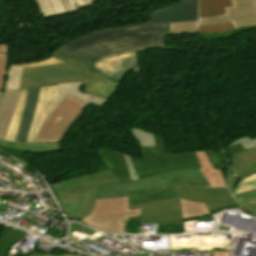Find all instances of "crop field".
Here are the masks:
<instances>
[{
    "label": "crop field",
    "instance_id": "19",
    "mask_svg": "<svg viewBox=\"0 0 256 256\" xmlns=\"http://www.w3.org/2000/svg\"><path fill=\"white\" fill-rule=\"evenodd\" d=\"M167 194V195H165ZM130 205L179 197V187L130 193Z\"/></svg>",
    "mask_w": 256,
    "mask_h": 256
},
{
    "label": "crop field",
    "instance_id": "18",
    "mask_svg": "<svg viewBox=\"0 0 256 256\" xmlns=\"http://www.w3.org/2000/svg\"><path fill=\"white\" fill-rule=\"evenodd\" d=\"M22 90H5L0 101V139L3 140Z\"/></svg>",
    "mask_w": 256,
    "mask_h": 256
},
{
    "label": "crop field",
    "instance_id": "17",
    "mask_svg": "<svg viewBox=\"0 0 256 256\" xmlns=\"http://www.w3.org/2000/svg\"><path fill=\"white\" fill-rule=\"evenodd\" d=\"M83 83L84 82L59 85L58 86V101L55 102L53 107L50 109V111L48 112L45 120L49 117V115L55 110V108L64 100V98L68 94H70V95L80 99L87 106H89L90 104H94V105H97V106H100V107H104L105 104L108 101L81 93L82 87H83ZM45 120H44V122H45ZM44 122H43V124H44ZM43 124H42V126H43ZM42 126H41V128H42ZM36 139H37V137H36ZM36 139H35V141H36Z\"/></svg>",
    "mask_w": 256,
    "mask_h": 256
},
{
    "label": "crop field",
    "instance_id": "21",
    "mask_svg": "<svg viewBox=\"0 0 256 256\" xmlns=\"http://www.w3.org/2000/svg\"><path fill=\"white\" fill-rule=\"evenodd\" d=\"M0 147L18 151L52 152L59 151L60 143H19L0 141Z\"/></svg>",
    "mask_w": 256,
    "mask_h": 256
},
{
    "label": "crop field",
    "instance_id": "23",
    "mask_svg": "<svg viewBox=\"0 0 256 256\" xmlns=\"http://www.w3.org/2000/svg\"><path fill=\"white\" fill-rule=\"evenodd\" d=\"M229 6L231 0H200V17L222 14Z\"/></svg>",
    "mask_w": 256,
    "mask_h": 256
},
{
    "label": "crop field",
    "instance_id": "25",
    "mask_svg": "<svg viewBox=\"0 0 256 256\" xmlns=\"http://www.w3.org/2000/svg\"><path fill=\"white\" fill-rule=\"evenodd\" d=\"M233 197L243 209L256 214V189L233 195Z\"/></svg>",
    "mask_w": 256,
    "mask_h": 256
},
{
    "label": "crop field",
    "instance_id": "16",
    "mask_svg": "<svg viewBox=\"0 0 256 256\" xmlns=\"http://www.w3.org/2000/svg\"><path fill=\"white\" fill-rule=\"evenodd\" d=\"M39 90L40 88L30 89L26 92L23 112L15 141H27L29 130L37 107Z\"/></svg>",
    "mask_w": 256,
    "mask_h": 256
},
{
    "label": "crop field",
    "instance_id": "11",
    "mask_svg": "<svg viewBox=\"0 0 256 256\" xmlns=\"http://www.w3.org/2000/svg\"><path fill=\"white\" fill-rule=\"evenodd\" d=\"M52 58L68 62L88 72L82 91L83 93L110 100L113 93L120 85V83L111 81L94 72L88 65L73 57L54 52Z\"/></svg>",
    "mask_w": 256,
    "mask_h": 256
},
{
    "label": "crop field",
    "instance_id": "10",
    "mask_svg": "<svg viewBox=\"0 0 256 256\" xmlns=\"http://www.w3.org/2000/svg\"><path fill=\"white\" fill-rule=\"evenodd\" d=\"M150 49H163V47ZM147 50L113 55L97 60L89 64V66L98 73L122 83L131 69H135V72H141L138 52H146Z\"/></svg>",
    "mask_w": 256,
    "mask_h": 256
},
{
    "label": "crop field",
    "instance_id": "36",
    "mask_svg": "<svg viewBox=\"0 0 256 256\" xmlns=\"http://www.w3.org/2000/svg\"><path fill=\"white\" fill-rule=\"evenodd\" d=\"M181 208L187 207H206L204 203H196L188 200L180 199Z\"/></svg>",
    "mask_w": 256,
    "mask_h": 256
},
{
    "label": "crop field",
    "instance_id": "31",
    "mask_svg": "<svg viewBox=\"0 0 256 256\" xmlns=\"http://www.w3.org/2000/svg\"><path fill=\"white\" fill-rule=\"evenodd\" d=\"M254 188H256V174H254L248 178L240 180L236 186V190H235L234 194L240 193L243 191H247V190H251Z\"/></svg>",
    "mask_w": 256,
    "mask_h": 256
},
{
    "label": "crop field",
    "instance_id": "24",
    "mask_svg": "<svg viewBox=\"0 0 256 256\" xmlns=\"http://www.w3.org/2000/svg\"><path fill=\"white\" fill-rule=\"evenodd\" d=\"M25 232L9 227L0 237V256H5L11 244L17 239L23 237ZM63 256H80V255H63Z\"/></svg>",
    "mask_w": 256,
    "mask_h": 256
},
{
    "label": "crop field",
    "instance_id": "15",
    "mask_svg": "<svg viewBox=\"0 0 256 256\" xmlns=\"http://www.w3.org/2000/svg\"><path fill=\"white\" fill-rule=\"evenodd\" d=\"M55 101H57V86L42 87L40 90L37 111L27 142L34 141L42 121Z\"/></svg>",
    "mask_w": 256,
    "mask_h": 256
},
{
    "label": "crop field",
    "instance_id": "20",
    "mask_svg": "<svg viewBox=\"0 0 256 256\" xmlns=\"http://www.w3.org/2000/svg\"><path fill=\"white\" fill-rule=\"evenodd\" d=\"M102 160L108 166V168L114 173V175L119 179L120 182L128 181L129 178L124 169L122 161L119 157L118 152L111 150L101 149L97 151Z\"/></svg>",
    "mask_w": 256,
    "mask_h": 256
},
{
    "label": "crop field",
    "instance_id": "3",
    "mask_svg": "<svg viewBox=\"0 0 256 256\" xmlns=\"http://www.w3.org/2000/svg\"><path fill=\"white\" fill-rule=\"evenodd\" d=\"M110 170L53 184L68 216L82 220L91 212L97 196V186L117 182Z\"/></svg>",
    "mask_w": 256,
    "mask_h": 256
},
{
    "label": "crop field",
    "instance_id": "37",
    "mask_svg": "<svg viewBox=\"0 0 256 256\" xmlns=\"http://www.w3.org/2000/svg\"><path fill=\"white\" fill-rule=\"evenodd\" d=\"M9 53V45H0V53Z\"/></svg>",
    "mask_w": 256,
    "mask_h": 256
},
{
    "label": "crop field",
    "instance_id": "12",
    "mask_svg": "<svg viewBox=\"0 0 256 256\" xmlns=\"http://www.w3.org/2000/svg\"><path fill=\"white\" fill-rule=\"evenodd\" d=\"M152 24L198 20V0H179L150 13Z\"/></svg>",
    "mask_w": 256,
    "mask_h": 256
},
{
    "label": "crop field",
    "instance_id": "2",
    "mask_svg": "<svg viewBox=\"0 0 256 256\" xmlns=\"http://www.w3.org/2000/svg\"><path fill=\"white\" fill-rule=\"evenodd\" d=\"M180 198L205 202L209 211L235 205L227 188L180 187ZM141 208L143 222L182 220L179 198L130 206Z\"/></svg>",
    "mask_w": 256,
    "mask_h": 256
},
{
    "label": "crop field",
    "instance_id": "32",
    "mask_svg": "<svg viewBox=\"0 0 256 256\" xmlns=\"http://www.w3.org/2000/svg\"><path fill=\"white\" fill-rule=\"evenodd\" d=\"M9 54H0V94L6 81ZM4 89V88H3Z\"/></svg>",
    "mask_w": 256,
    "mask_h": 256
},
{
    "label": "crop field",
    "instance_id": "8",
    "mask_svg": "<svg viewBox=\"0 0 256 256\" xmlns=\"http://www.w3.org/2000/svg\"><path fill=\"white\" fill-rule=\"evenodd\" d=\"M143 157L144 160L130 157L135 171L140 178L187 168H201L194 151L180 154Z\"/></svg>",
    "mask_w": 256,
    "mask_h": 256
},
{
    "label": "crop field",
    "instance_id": "22",
    "mask_svg": "<svg viewBox=\"0 0 256 256\" xmlns=\"http://www.w3.org/2000/svg\"><path fill=\"white\" fill-rule=\"evenodd\" d=\"M195 153L202 167L201 172L206 177L211 187H225L224 178L220 170L213 169L211 162L208 160L203 151Z\"/></svg>",
    "mask_w": 256,
    "mask_h": 256
},
{
    "label": "crop field",
    "instance_id": "29",
    "mask_svg": "<svg viewBox=\"0 0 256 256\" xmlns=\"http://www.w3.org/2000/svg\"><path fill=\"white\" fill-rule=\"evenodd\" d=\"M131 131L141 145H155L152 133L144 132L136 128L131 129Z\"/></svg>",
    "mask_w": 256,
    "mask_h": 256
},
{
    "label": "crop field",
    "instance_id": "14",
    "mask_svg": "<svg viewBox=\"0 0 256 256\" xmlns=\"http://www.w3.org/2000/svg\"><path fill=\"white\" fill-rule=\"evenodd\" d=\"M44 19L83 10L97 0H35Z\"/></svg>",
    "mask_w": 256,
    "mask_h": 256
},
{
    "label": "crop field",
    "instance_id": "4",
    "mask_svg": "<svg viewBox=\"0 0 256 256\" xmlns=\"http://www.w3.org/2000/svg\"><path fill=\"white\" fill-rule=\"evenodd\" d=\"M87 72L68 63L33 68H11L6 88L29 89L84 81Z\"/></svg>",
    "mask_w": 256,
    "mask_h": 256
},
{
    "label": "crop field",
    "instance_id": "30",
    "mask_svg": "<svg viewBox=\"0 0 256 256\" xmlns=\"http://www.w3.org/2000/svg\"><path fill=\"white\" fill-rule=\"evenodd\" d=\"M183 220L211 215L207 208H187L182 210Z\"/></svg>",
    "mask_w": 256,
    "mask_h": 256
},
{
    "label": "crop field",
    "instance_id": "35",
    "mask_svg": "<svg viewBox=\"0 0 256 256\" xmlns=\"http://www.w3.org/2000/svg\"><path fill=\"white\" fill-rule=\"evenodd\" d=\"M154 137H155V142H156L157 153L158 154H166V148L163 144L162 137L155 135V134H154Z\"/></svg>",
    "mask_w": 256,
    "mask_h": 256
},
{
    "label": "crop field",
    "instance_id": "38",
    "mask_svg": "<svg viewBox=\"0 0 256 256\" xmlns=\"http://www.w3.org/2000/svg\"><path fill=\"white\" fill-rule=\"evenodd\" d=\"M33 256H62V255H42V254H36V255H33Z\"/></svg>",
    "mask_w": 256,
    "mask_h": 256
},
{
    "label": "crop field",
    "instance_id": "1",
    "mask_svg": "<svg viewBox=\"0 0 256 256\" xmlns=\"http://www.w3.org/2000/svg\"><path fill=\"white\" fill-rule=\"evenodd\" d=\"M169 30V24L151 25V22L99 30L79 36L56 51L89 64L117 53L163 46Z\"/></svg>",
    "mask_w": 256,
    "mask_h": 256
},
{
    "label": "crop field",
    "instance_id": "28",
    "mask_svg": "<svg viewBox=\"0 0 256 256\" xmlns=\"http://www.w3.org/2000/svg\"><path fill=\"white\" fill-rule=\"evenodd\" d=\"M254 146H256V138L251 140L250 137L247 136L234 141L232 144L228 146V150L229 153L231 154L234 152L249 149Z\"/></svg>",
    "mask_w": 256,
    "mask_h": 256
},
{
    "label": "crop field",
    "instance_id": "33",
    "mask_svg": "<svg viewBox=\"0 0 256 256\" xmlns=\"http://www.w3.org/2000/svg\"><path fill=\"white\" fill-rule=\"evenodd\" d=\"M122 161H123V164L125 166V169L128 173V176L130 178V180H136V179H140L136 174H135V171L133 169V166H132V163L130 161V158L128 155H124V154H121L120 155Z\"/></svg>",
    "mask_w": 256,
    "mask_h": 256
},
{
    "label": "crop field",
    "instance_id": "5",
    "mask_svg": "<svg viewBox=\"0 0 256 256\" xmlns=\"http://www.w3.org/2000/svg\"><path fill=\"white\" fill-rule=\"evenodd\" d=\"M165 186L210 187L200 170L187 169L160 174L137 181H128L124 183L117 182L100 186L98 187L97 199L123 197L128 196L127 192L130 191L147 190Z\"/></svg>",
    "mask_w": 256,
    "mask_h": 256
},
{
    "label": "crop field",
    "instance_id": "27",
    "mask_svg": "<svg viewBox=\"0 0 256 256\" xmlns=\"http://www.w3.org/2000/svg\"><path fill=\"white\" fill-rule=\"evenodd\" d=\"M25 92H26V90L22 91V94H21V97L19 99L15 114L13 116V119L11 121L10 127L8 129V132H7L6 137H5L4 140L14 141V139H15L17 127H18L21 112H22Z\"/></svg>",
    "mask_w": 256,
    "mask_h": 256
},
{
    "label": "crop field",
    "instance_id": "7",
    "mask_svg": "<svg viewBox=\"0 0 256 256\" xmlns=\"http://www.w3.org/2000/svg\"><path fill=\"white\" fill-rule=\"evenodd\" d=\"M85 107L80 100L68 95L47 119L36 142H61Z\"/></svg>",
    "mask_w": 256,
    "mask_h": 256
},
{
    "label": "crop field",
    "instance_id": "6",
    "mask_svg": "<svg viewBox=\"0 0 256 256\" xmlns=\"http://www.w3.org/2000/svg\"><path fill=\"white\" fill-rule=\"evenodd\" d=\"M127 217H141L139 210H129L128 197L96 200L89 216L82 221L86 225L107 231L122 232V220Z\"/></svg>",
    "mask_w": 256,
    "mask_h": 256
},
{
    "label": "crop field",
    "instance_id": "34",
    "mask_svg": "<svg viewBox=\"0 0 256 256\" xmlns=\"http://www.w3.org/2000/svg\"><path fill=\"white\" fill-rule=\"evenodd\" d=\"M60 63H64V62L50 58V59H48V60L41 61V62H37V63H33V64L11 65V67H33V66L50 65V64H60Z\"/></svg>",
    "mask_w": 256,
    "mask_h": 256
},
{
    "label": "crop field",
    "instance_id": "9",
    "mask_svg": "<svg viewBox=\"0 0 256 256\" xmlns=\"http://www.w3.org/2000/svg\"><path fill=\"white\" fill-rule=\"evenodd\" d=\"M233 7L225 14L200 18V22L170 24L171 30L198 29V25H212L231 22L235 29L256 25V0H232Z\"/></svg>",
    "mask_w": 256,
    "mask_h": 256
},
{
    "label": "crop field",
    "instance_id": "13",
    "mask_svg": "<svg viewBox=\"0 0 256 256\" xmlns=\"http://www.w3.org/2000/svg\"><path fill=\"white\" fill-rule=\"evenodd\" d=\"M231 172L229 173L228 187L231 193L234 192L235 186L242 178L256 173V147L231 154Z\"/></svg>",
    "mask_w": 256,
    "mask_h": 256
},
{
    "label": "crop field",
    "instance_id": "26",
    "mask_svg": "<svg viewBox=\"0 0 256 256\" xmlns=\"http://www.w3.org/2000/svg\"><path fill=\"white\" fill-rule=\"evenodd\" d=\"M235 30L231 23L219 24L213 26H199V30L193 31H170L168 34H191V33H225Z\"/></svg>",
    "mask_w": 256,
    "mask_h": 256
}]
</instances>
